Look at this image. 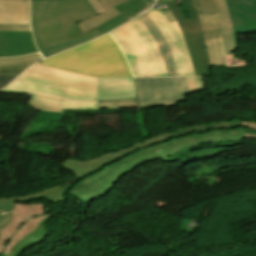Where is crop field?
I'll use <instances>...</instances> for the list:
<instances>
[{"mask_svg":"<svg viewBox=\"0 0 256 256\" xmlns=\"http://www.w3.org/2000/svg\"><path fill=\"white\" fill-rule=\"evenodd\" d=\"M244 128L212 130L175 138L170 132L155 135L115 152L101 154L90 161L67 159L62 166L77 178L67 191L86 204L105 193L125 174L141 163L165 158L193 145L243 140ZM148 152V154H146ZM76 197V198H77Z\"/></svg>","mask_w":256,"mask_h":256,"instance_id":"1","label":"crop field"},{"mask_svg":"<svg viewBox=\"0 0 256 256\" xmlns=\"http://www.w3.org/2000/svg\"><path fill=\"white\" fill-rule=\"evenodd\" d=\"M1 91L63 100L62 109H98L97 100L136 98L132 78H89L38 65L29 67Z\"/></svg>","mask_w":256,"mask_h":256,"instance_id":"2","label":"crop field"},{"mask_svg":"<svg viewBox=\"0 0 256 256\" xmlns=\"http://www.w3.org/2000/svg\"><path fill=\"white\" fill-rule=\"evenodd\" d=\"M95 15L86 0H31L33 35L40 53L48 57L102 35L96 29L82 34L75 24Z\"/></svg>","mask_w":256,"mask_h":256,"instance_id":"3","label":"crop field"},{"mask_svg":"<svg viewBox=\"0 0 256 256\" xmlns=\"http://www.w3.org/2000/svg\"><path fill=\"white\" fill-rule=\"evenodd\" d=\"M126 62L116 42L106 34L37 64L90 77H132Z\"/></svg>","mask_w":256,"mask_h":256,"instance_id":"4","label":"crop field"},{"mask_svg":"<svg viewBox=\"0 0 256 256\" xmlns=\"http://www.w3.org/2000/svg\"><path fill=\"white\" fill-rule=\"evenodd\" d=\"M110 35L120 45L134 76H167L160 52L138 18L110 32Z\"/></svg>","mask_w":256,"mask_h":256,"instance_id":"5","label":"crop field"},{"mask_svg":"<svg viewBox=\"0 0 256 256\" xmlns=\"http://www.w3.org/2000/svg\"><path fill=\"white\" fill-rule=\"evenodd\" d=\"M190 18H186L176 1L166 2L176 18L194 67L196 76L209 75V61L196 11L190 0H181Z\"/></svg>","mask_w":256,"mask_h":256,"instance_id":"6","label":"crop field"},{"mask_svg":"<svg viewBox=\"0 0 256 256\" xmlns=\"http://www.w3.org/2000/svg\"><path fill=\"white\" fill-rule=\"evenodd\" d=\"M139 107L177 106L189 93L185 77L135 78Z\"/></svg>","mask_w":256,"mask_h":256,"instance_id":"7","label":"crop field"},{"mask_svg":"<svg viewBox=\"0 0 256 256\" xmlns=\"http://www.w3.org/2000/svg\"><path fill=\"white\" fill-rule=\"evenodd\" d=\"M49 215H44L42 203L15 204L12 219L0 230V254L8 255L19 240L34 231Z\"/></svg>","mask_w":256,"mask_h":256,"instance_id":"8","label":"crop field"},{"mask_svg":"<svg viewBox=\"0 0 256 256\" xmlns=\"http://www.w3.org/2000/svg\"><path fill=\"white\" fill-rule=\"evenodd\" d=\"M158 25L173 53L178 76H195L186 45L178 24L170 11L162 13L151 9L147 12Z\"/></svg>","mask_w":256,"mask_h":256,"instance_id":"9","label":"crop field"},{"mask_svg":"<svg viewBox=\"0 0 256 256\" xmlns=\"http://www.w3.org/2000/svg\"><path fill=\"white\" fill-rule=\"evenodd\" d=\"M210 65H226L218 13L198 15Z\"/></svg>","mask_w":256,"mask_h":256,"instance_id":"10","label":"crop field"},{"mask_svg":"<svg viewBox=\"0 0 256 256\" xmlns=\"http://www.w3.org/2000/svg\"><path fill=\"white\" fill-rule=\"evenodd\" d=\"M235 33H256V0H226Z\"/></svg>","mask_w":256,"mask_h":256,"instance_id":"11","label":"crop field"},{"mask_svg":"<svg viewBox=\"0 0 256 256\" xmlns=\"http://www.w3.org/2000/svg\"><path fill=\"white\" fill-rule=\"evenodd\" d=\"M38 52L31 32H0V57H13Z\"/></svg>","mask_w":256,"mask_h":256,"instance_id":"12","label":"crop field"},{"mask_svg":"<svg viewBox=\"0 0 256 256\" xmlns=\"http://www.w3.org/2000/svg\"><path fill=\"white\" fill-rule=\"evenodd\" d=\"M0 24L30 25L29 0H0Z\"/></svg>","mask_w":256,"mask_h":256,"instance_id":"13","label":"crop field"},{"mask_svg":"<svg viewBox=\"0 0 256 256\" xmlns=\"http://www.w3.org/2000/svg\"><path fill=\"white\" fill-rule=\"evenodd\" d=\"M240 126L245 127L244 136L256 138V123L249 122V121H240V120L194 125V126L179 128L175 131L172 130L173 132H171V133L175 137H178L181 135L191 134V133H196V132H199V133L207 132L212 129H225V128L240 127Z\"/></svg>","mask_w":256,"mask_h":256,"instance_id":"14","label":"crop field"},{"mask_svg":"<svg viewBox=\"0 0 256 256\" xmlns=\"http://www.w3.org/2000/svg\"><path fill=\"white\" fill-rule=\"evenodd\" d=\"M146 26L152 37L154 38L156 44L164 59L165 67L168 76H177L176 67L174 65L173 57L169 49V45L161 32L159 31L156 24L151 20L148 14L144 13L138 17Z\"/></svg>","mask_w":256,"mask_h":256,"instance_id":"15","label":"crop field"},{"mask_svg":"<svg viewBox=\"0 0 256 256\" xmlns=\"http://www.w3.org/2000/svg\"><path fill=\"white\" fill-rule=\"evenodd\" d=\"M102 8L106 11L104 13L98 14V16L91 17L89 19H86L82 22H78L82 33L88 32L101 24L115 18L120 13L116 11L113 7L120 4L127 2L129 0H98Z\"/></svg>","mask_w":256,"mask_h":256,"instance_id":"16","label":"crop field"},{"mask_svg":"<svg viewBox=\"0 0 256 256\" xmlns=\"http://www.w3.org/2000/svg\"><path fill=\"white\" fill-rule=\"evenodd\" d=\"M116 10H118L121 14L101 25L100 27L96 28L98 29L100 32H102L103 34L113 30L114 28L128 22L129 20L126 17H129L130 15L142 10L143 8H145V2L144 0H132L129 1L127 3L124 4H120L116 7H114Z\"/></svg>","mask_w":256,"mask_h":256,"instance_id":"17","label":"crop field"},{"mask_svg":"<svg viewBox=\"0 0 256 256\" xmlns=\"http://www.w3.org/2000/svg\"><path fill=\"white\" fill-rule=\"evenodd\" d=\"M220 18V24L223 33L225 55L233 52L235 49L234 33L230 21V16L225 0H214Z\"/></svg>","mask_w":256,"mask_h":256,"instance_id":"18","label":"crop field"},{"mask_svg":"<svg viewBox=\"0 0 256 256\" xmlns=\"http://www.w3.org/2000/svg\"><path fill=\"white\" fill-rule=\"evenodd\" d=\"M70 187L71 186L68 184L64 187L59 186V187L41 192L36 195L31 194L25 198L0 199V209L13 210L14 201H22L27 199L41 198V197H45L51 200L52 202L60 205L64 198L63 193L67 191Z\"/></svg>","mask_w":256,"mask_h":256,"instance_id":"19","label":"crop field"},{"mask_svg":"<svg viewBox=\"0 0 256 256\" xmlns=\"http://www.w3.org/2000/svg\"><path fill=\"white\" fill-rule=\"evenodd\" d=\"M43 59L40 54L24 57L0 59V74H20L31 64Z\"/></svg>","mask_w":256,"mask_h":256,"instance_id":"20","label":"crop field"},{"mask_svg":"<svg viewBox=\"0 0 256 256\" xmlns=\"http://www.w3.org/2000/svg\"><path fill=\"white\" fill-rule=\"evenodd\" d=\"M53 215L54 214H51L44 221L47 222ZM42 223L37 227V229L34 232L30 233L24 239L18 242L16 246L12 249L9 256H19L20 253L23 252L25 249L41 242L44 238H46L49 234H51L49 232L48 233L44 232V229L42 228ZM1 256H7V255L2 254Z\"/></svg>","mask_w":256,"mask_h":256,"instance_id":"21","label":"crop field"},{"mask_svg":"<svg viewBox=\"0 0 256 256\" xmlns=\"http://www.w3.org/2000/svg\"><path fill=\"white\" fill-rule=\"evenodd\" d=\"M28 105L39 110L61 113L60 111L61 102L39 97V96L32 95Z\"/></svg>","mask_w":256,"mask_h":256,"instance_id":"22","label":"crop field"},{"mask_svg":"<svg viewBox=\"0 0 256 256\" xmlns=\"http://www.w3.org/2000/svg\"><path fill=\"white\" fill-rule=\"evenodd\" d=\"M99 109L138 107L136 99L98 101Z\"/></svg>","mask_w":256,"mask_h":256,"instance_id":"23","label":"crop field"},{"mask_svg":"<svg viewBox=\"0 0 256 256\" xmlns=\"http://www.w3.org/2000/svg\"><path fill=\"white\" fill-rule=\"evenodd\" d=\"M197 14L217 11L213 0H191Z\"/></svg>","mask_w":256,"mask_h":256,"instance_id":"24","label":"crop field"},{"mask_svg":"<svg viewBox=\"0 0 256 256\" xmlns=\"http://www.w3.org/2000/svg\"><path fill=\"white\" fill-rule=\"evenodd\" d=\"M0 31H31L30 26L25 25H0Z\"/></svg>","mask_w":256,"mask_h":256,"instance_id":"25","label":"crop field"},{"mask_svg":"<svg viewBox=\"0 0 256 256\" xmlns=\"http://www.w3.org/2000/svg\"><path fill=\"white\" fill-rule=\"evenodd\" d=\"M186 79H187V84H188L190 93L191 92L199 91V87H198V83H197V79L196 78H188V77H186Z\"/></svg>","mask_w":256,"mask_h":256,"instance_id":"26","label":"crop field"},{"mask_svg":"<svg viewBox=\"0 0 256 256\" xmlns=\"http://www.w3.org/2000/svg\"><path fill=\"white\" fill-rule=\"evenodd\" d=\"M18 75H0V89Z\"/></svg>","mask_w":256,"mask_h":256,"instance_id":"27","label":"crop field"},{"mask_svg":"<svg viewBox=\"0 0 256 256\" xmlns=\"http://www.w3.org/2000/svg\"><path fill=\"white\" fill-rule=\"evenodd\" d=\"M88 2L93 7V9L96 12V14H98L100 12H104V10L101 8V6L99 5L97 0H88Z\"/></svg>","mask_w":256,"mask_h":256,"instance_id":"28","label":"crop field"},{"mask_svg":"<svg viewBox=\"0 0 256 256\" xmlns=\"http://www.w3.org/2000/svg\"><path fill=\"white\" fill-rule=\"evenodd\" d=\"M11 219V212L0 215V229Z\"/></svg>","mask_w":256,"mask_h":256,"instance_id":"29","label":"crop field"},{"mask_svg":"<svg viewBox=\"0 0 256 256\" xmlns=\"http://www.w3.org/2000/svg\"><path fill=\"white\" fill-rule=\"evenodd\" d=\"M5 212H8V211H3V210H0V214H2V213H5Z\"/></svg>","mask_w":256,"mask_h":256,"instance_id":"30","label":"crop field"}]
</instances>
